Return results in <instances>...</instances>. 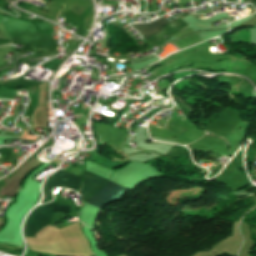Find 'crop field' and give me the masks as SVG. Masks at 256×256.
<instances>
[{"label": "crop field", "instance_id": "obj_1", "mask_svg": "<svg viewBox=\"0 0 256 256\" xmlns=\"http://www.w3.org/2000/svg\"><path fill=\"white\" fill-rule=\"evenodd\" d=\"M105 183H107V180L85 170L83 187L80 191V194L84 197L83 200L85 201L89 195H91ZM126 191L127 189L109 181L106 185L88 197L86 203L94 205L98 208H102L103 206L122 197Z\"/></svg>", "mask_w": 256, "mask_h": 256}, {"label": "crop field", "instance_id": "obj_2", "mask_svg": "<svg viewBox=\"0 0 256 256\" xmlns=\"http://www.w3.org/2000/svg\"><path fill=\"white\" fill-rule=\"evenodd\" d=\"M60 205L53 202L36 207L28 216L26 223V235L34 236L36 232L48 226L53 218L52 212H57ZM60 213H72L71 205H62Z\"/></svg>", "mask_w": 256, "mask_h": 256}, {"label": "crop field", "instance_id": "obj_3", "mask_svg": "<svg viewBox=\"0 0 256 256\" xmlns=\"http://www.w3.org/2000/svg\"><path fill=\"white\" fill-rule=\"evenodd\" d=\"M58 186L68 187L78 192L82 186V177L75 176L66 172L57 171V173L51 178L46 187L45 196L42 203H47L52 200L51 190Z\"/></svg>", "mask_w": 256, "mask_h": 256}, {"label": "crop field", "instance_id": "obj_4", "mask_svg": "<svg viewBox=\"0 0 256 256\" xmlns=\"http://www.w3.org/2000/svg\"><path fill=\"white\" fill-rule=\"evenodd\" d=\"M168 23H170V22H168L166 19L161 17L149 24L131 25V27H133L138 32H140L144 36V40H145L148 37L158 33L159 30Z\"/></svg>", "mask_w": 256, "mask_h": 256}]
</instances>
